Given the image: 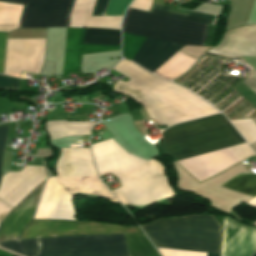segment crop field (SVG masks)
<instances>
[{
  "label": "crop field",
  "instance_id": "obj_1",
  "mask_svg": "<svg viewBox=\"0 0 256 256\" xmlns=\"http://www.w3.org/2000/svg\"><path fill=\"white\" fill-rule=\"evenodd\" d=\"M112 70L131 79L127 83L118 80L113 91L129 95L141 105L139 109L129 113L133 117L136 129L145 135L141 125L145 121H152L157 126L166 124L169 127L218 113L182 87L160 80L127 60H122Z\"/></svg>",
  "mask_w": 256,
  "mask_h": 256
},
{
  "label": "crop field",
  "instance_id": "obj_2",
  "mask_svg": "<svg viewBox=\"0 0 256 256\" xmlns=\"http://www.w3.org/2000/svg\"><path fill=\"white\" fill-rule=\"evenodd\" d=\"M91 149L99 175L111 172L123 185L112 191L122 204L148 205L173 196L161 163L131 155L112 138L92 144Z\"/></svg>",
  "mask_w": 256,
  "mask_h": 256
},
{
  "label": "crop field",
  "instance_id": "obj_3",
  "mask_svg": "<svg viewBox=\"0 0 256 256\" xmlns=\"http://www.w3.org/2000/svg\"><path fill=\"white\" fill-rule=\"evenodd\" d=\"M57 176L47 179L33 219L74 220L71 196L93 191L115 197L100 182L88 148L61 149Z\"/></svg>",
  "mask_w": 256,
  "mask_h": 256
},
{
  "label": "crop field",
  "instance_id": "obj_4",
  "mask_svg": "<svg viewBox=\"0 0 256 256\" xmlns=\"http://www.w3.org/2000/svg\"><path fill=\"white\" fill-rule=\"evenodd\" d=\"M140 227L155 247L220 254L222 228L214 215L162 218ZM160 248L162 256H207Z\"/></svg>",
  "mask_w": 256,
  "mask_h": 256
},
{
  "label": "crop field",
  "instance_id": "obj_5",
  "mask_svg": "<svg viewBox=\"0 0 256 256\" xmlns=\"http://www.w3.org/2000/svg\"><path fill=\"white\" fill-rule=\"evenodd\" d=\"M44 182L22 200L0 223V241L19 239L33 218ZM142 233L139 227L116 226L97 222L32 220L21 239L82 235Z\"/></svg>",
  "mask_w": 256,
  "mask_h": 256
},
{
  "label": "crop field",
  "instance_id": "obj_6",
  "mask_svg": "<svg viewBox=\"0 0 256 256\" xmlns=\"http://www.w3.org/2000/svg\"><path fill=\"white\" fill-rule=\"evenodd\" d=\"M162 136L156 143L174 161L244 143L221 114L174 125Z\"/></svg>",
  "mask_w": 256,
  "mask_h": 256
},
{
  "label": "crop field",
  "instance_id": "obj_7",
  "mask_svg": "<svg viewBox=\"0 0 256 256\" xmlns=\"http://www.w3.org/2000/svg\"><path fill=\"white\" fill-rule=\"evenodd\" d=\"M0 246L21 256H129L123 235L7 241Z\"/></svg>",
  "mask_w": 256,
  "mask_h": 256
},
{
  "label": "crop field",
  "instance_id": "obj_8",
  "mask_svg": "<svg viewBox=\"0 0 256 256\" xmlns=\"http://www.w3.org/2000/svg\"><path fill=\"white\" fill-rule=\"evenodd\" d=\"M207 25L127 9L122 32L168 42L204 46Z\"/></svg>",
  "mask_w": 256,
  "mask_h": 256
},
{
  "label": "crop field",
  "instance_id": "obj_9",
  "mask_svg": "<svg viewBox=\"0 0 256 256\" xmlns=\"http://www.w3.org/2000/svg\"><path fill=\"white\" fill-rule=\"evenodd\" d=\"M24 5L19 28L68 27L74 0H0Z\"/></svg>",
  "mask_w": 256,
  "mask_h": 256
},
{
  "label": "crop field",
  "instance_id": "obj_10",
  "mask_svg": "<svg viewBox=\"0 0 256 256\" xmlns=\"http://www.w3.org/2000/svg\"><path fill=\"white\" fill-rule=\"evenodd\" d=\"M207 52L227 57L256 56V24L228 30L220 44ZM248 77L256 78V72ZM242 82L256 95V80L246 78Z\"/></svg>",
  "mask_w": 256,
  "mask_h": 256
},
{
  "label": "crop field",
  "instance_id": "obj_11",
  "mask_svg": "<svg viewBox=\"0 0 256 256\" xmlns=\"http://www.w3.org/2000/svg\"><path fill=\"white\" fill-rule=\"evenodd\" d=\"M45 39H8L5 73H38L43 62Z\"/></svg>",
  "mask_w": 256,
  "mask_h": 256
},
{
  "label": "crop field",
  "instance_id": "obj_12",
  "mask_svg": "<svg viewBox=\"0 0 256 256\" xmlns=\"http://www.w3.org/2000/svg\"><path fill=\"white\" fill-rule=\"evenodd\" d=\"M45 180L43 167L24 166L20 172L5 173L0 186V200L15 207Z\"/></svg>",
  "mask_w": 256,
  "mask_h": 256
},
{
  "label": "crop field",
  "instance_id": "obj_13",
  "mask_svg": "<svg viewBox=\"0 0 256 256\" xmlns=\"http://www.w3.org/2000/svg\"><path fill=\"white\" fill-rule=\"evenodd\" d=\"M255 250L256 230L223 217L221 256H250Z\"/></svg>",
  "mask_w": 256,
  "mask_h": 256
},
{
  "label": "crop field",
  "instance_id": "obj_14",
  "mask_svg": "<svg viewBox=\"0 0 256 256\" xmlns=\"http://www.w3.org/2000/svg\"><path fill=\"white\" fill-rule=\"evenodd\" d=\"M183 47V45L146 38L132 61L153 73Z\"/></svg>",
  "mask_w": 256,
  "mask_h": 256
},
{
  "label": "crop field",
  "instance_id": "obj_15",
  "mask_svg": "<svg viewBox=\"0 0 256 256\" xmlns=\"http://www.w3.org/2000/svg\"><path fill=\"white\" fill-rule=\"evenodd\" d=\"M95 123L66 121L46 122L45 129L48 132L50 139L53 140L68 136L89 135L90 128Z\"/></svg>",
  "mask_w": 256,
  "mask_h": 256
},
{
  "label": "crop field",
  "instance_id": "obj_16",
  "mask_svg": "<svg viewBox=\"0 0 256 256\" xmlns=\"http://www.w3.org/2000/svg\"><path fill=\"white\" fill-rule=\"evenodd\" d=\"M22 7L20 5L0 2L1 32H10L18 28Z\"/></svg>",
  "mask_w": 256,
  "mask_h": 256
},
{
  "label": "crop field",
  "instance_id": "obj_17",
  "mask_svg": "<svg viewBox=\"0 0 256 256\" xmlns=\"http://www.w3.org/2000/svg\"><path fill=\"white\" fill-rule=\"evenodd\" d=\"M83 43L120 45V31L85 29Z\"/></svg>",
  "mask_w": 256,
  "mask_h": 256
},
{
  "label": "crop field",
  "instance_id": "obj_18",
  "mask_svg": "<svg viewBox=\"0 0 256 256\" xmlns=\"http://www.w3.org/2000/svg\"><path fill=\"white\" fill-rule=\"evenodd\" d=\"M152 7L153 8H158V9H163V10H168V11H173V12H178V13H183V14H187V15H192V16L212 19V20H214L215 17H216L214 15L190 12V11L170 8V7H166V6H159V5H154V4L152 5ZM153 8H151V10H150V12H152V13L163 14V15H167V16L182 18V19L196 21V22H201V23L210 24V25H213V22H214L212 20H207V19L187 16V15H182V14H178V13H173V12H168V11H163V10H158V9H153Z\"/></svg>",
  "mask_w": 256,
  "mask_h": 256
},
{
  "label": "crop field",
  "instance_id": "obj_19",
  "mask_svg": "<svg viewBox=\"0 0 256 256\" xmlns=\"http://www.w3.org/2000/svg\"><path fill=\"white\" fill-rule=\"evenodd\" d=\"M131 256H148L157 254L144 234L125 235Z\"/></svg>",
  "mask_w": 256,
  "mask_h": 256
},
{
  "label": "crop field",
  "instance_id": "obj_20",
  "mask_svg": "<svg viewBox=\"0 0 256 256\" xmlns=\"http://www.w3.org/2000/svg\"><path fill=\"white\" fill-rule=\"evenodd\" d=\"M223 186L254 197L256 196V174L239 175L225 183Z\"/></svg>",
  "mask_w": 256,
  "mask_h": 256
},
{
  "label": "crop field",
  "instance_id": "obj_21",
  "mask_svg": "<svg viewBox=\"0 0 256 256\" xmlns=\"http://www.w3.org/2000/svg\"><path fill=\"white\" fill-rule=\"evenodd\" d=\"M249 144L256 141V124L252 119L231 121Z\"/></svg>",
  "mask_w": 256,
  "mask_h": 256
},
{
  "label": "crop field",
  "instance_id": "obj_22",
  "mask_svg": "<svg viewBox=\"0 0 256 256\" xmlns=\"http://www.w3.org/2000/svg\"><path fill=\"white\" fill-rule=\"evenodd\" d=\"M132 0H109L104 16L122 15Z\"/></svg>",
  "mask_w": 256,
  "mask_h": 256
},
{
  "label": "crop field",
  "instance_id": "obj_23",
  "mask_svg": "<svg viewBox=\"0 0 256 256\" xmlns=\"http://www.w3.org/2000/svg\"><path fill=\"white\" fill-rule=\"evenodd\" d=\"M7 128H8V125L0 127V167H1L2 158L4 154ZM2 173L3 172L0 170V175H2Z\"/></svg>",
  "mask_w": 256,
  "mask_h": 256
},
{
  "label": "crop field",
  "instance_id": "obj_24",
  "mask_svg": "<svg viewBox=\"0 0 256 256\" xmlns=\"http://www.w3.org/2000/svg\"><path fill=\"white\" fill-rule=\"evenodd\" d=\"M0 87L19 89V80L0 76Z\"/></svg>",
  "mask_w": 256,
  "mask_h": 256
},
{
  "label": "crop field",
  "instance_id": "obj_25",
  "mask_svg": "<svg viewBox=\"0 0 256 256\" xmlns=\"http://www.w3.org/2000/svg\"><path fill=\"white\" fill-rule=\"evenodd\" d=\"M107 3H108V0H96L92 16H103Z\"/></svg>",
  "mask_w": 256,
  "mask_h": 256
},
{
  "label": "crop field",
  "instance_id": "obj_26",
  "mask_svg": "<svg viewBox=\"0 0 256 256\" xmlns=\"http://www.w3.org/2000/svg\"><path fill=\"white\" fill-rule=\"evenodd\" d=\"M152 0H134L130 7L149 11Z\"/></svg>",
  "mask_w": 256,
  "mask_h": 256
},
{
  "label": "crop field",
  "instance_id": "obj_27",
  "mask_svg": "<svg viewBox=\"0 0 256 256\" xmlns=\"http://www.w3.org/2000/svg\"><path fill=\"white\" fill-rule=\"evenodd\" d=\"M5 43H6V33L0 32V73H2V68H3Z\"/></svg>",
  "mask_w": 256,
  "mask_h": 256
},
{
  "label": "crop field",
  "instance_id": "obj_28",
  "mask_svg": "<svg viewBox=\"0 0 256 256\" xmlns=\"http://www.w3.org/2000/svg\"><path fill=\"white\" fill-rule=\"evenodd\" d=\"M13 209L12 206L0 201V222L6 217V215Z\"/></svg>",
  "mask_w": 256,
  "mask_h": 256
},
{
  "label": "crop field",
  "instance_id": "obj_29",
  "mask_svg": "<svg viewBox=\"0 0 256 256\" xmlns=\"http://www.w3.org/2000/svg\"><path fill=\"white\" fill-rule=\"evenodd\" d=\"M247 203L256 206V197L251 199L250 201H248ZM254 225H256V223H254Z\"/></svg>",
  "mask_w": 256,
  "mask_h": 256
},
{
  "label": "crop field",
  "instance_id": "obj_30",
  "mask_svg": "<svg viewBox=\"0 0 256 256\" xmlns=\"http://www.w3.org/2000/svg\"><path fill=\"white\" fill-rule=\"evenodd\" d=\"M253 256H256V253Z\"/></svg>",
  "mask_w": 256,
  "mask_h": 256
}]
</instances>
